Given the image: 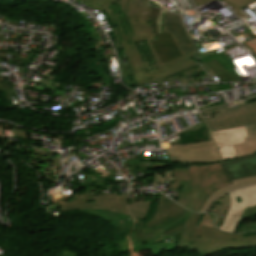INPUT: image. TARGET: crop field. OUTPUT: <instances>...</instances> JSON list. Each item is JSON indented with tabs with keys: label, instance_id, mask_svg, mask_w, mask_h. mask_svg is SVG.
<instances>
[{
	"label": "crop field",
	"instance_id": "3",
	"mask_svg": "<svg viewBox=\"0 0 256 256\" xmlns=\"http://www.w3.org/2000/svg\"><path fill=\"white\" fill-rule=\"evenodd\" d=\"M189 214L190 211L177 206L162 194L153 218L145 224L136 221L133 231L138 245L141 246L142 241L151 244L165 239L163 236L184 226L164 235L162 232L184 223Z\"/></svg>",
	"mask_w": 256,
	"mask_h": 256
},
{
	"label": "crop field",
	"instance_id": "1",
	"mask_svg": "<svg viewBox=\"0 0 256 256\" xmlns=\"http://www.w3.org/2000/svg\"><path fill=\"white\" fill-rule=\"evenodd\" d=\"M122 15L106 10L113 21L117 48L128 57L136 84L175 76L197 64L193 53L182 56L170 33L158 34L156 18L160 10L147 0H117Z\"/></svg>",
	"mask_w": 256,
	"mask_h": 256
},
{
	"label": "crop field",
	"instance_id": "2",
	"mask_svg": "<svg viewBox=\"0 0 256 256\" xmlns=\"http://www.w3.org/2000/svg\"><path fill=\"white\" fill-rule=\"evenodd\" d=\"M201 214L192 213L184 233L180 234L181 251L196 249L198 256H208L225 249L255 248L256 236L222 233L209 227H197ZM210 237V238H209Z\"/></svg>",
	"mask_w": 256,
	"mask_h": 256
},
{
	"label": "crop field",
	"instance_id": "19",
	"mask_svg": "<svg viewBox=\"0 0 256 256\" xmlns=\"http://www.w3.org/2000/svg\"><path fill=\"white\" fill-rule=\"evenodd\" d=\"M162 13H166L165 11H160V14L158 16V19H157V26H158V31L160 33V24H161V18H162Z\"/></svg>",
	"mask_w": 256,
	"mask_h": 256
},
{
	"label": "crop field",
	"instance_id": "7",
	"mask_svg": "<svg viewBox=\"0 0 256 256\" xmlns=\"http://www.w3.org/2000/svg\"><path fill=\"white\" fill-rule=\"evenodd\" d=\"M231 205L220 230L232 233L238 225L244 209L256 205V185L245 187L228 193Z\"/></svg>",
	"mask_w": 256,
	"mask_h": 256
},
{
	"label": "crop field",
	"instance_id": "25",
	"mask_svg": "<svg viewBox=\"0 0 256 256\" xmlns=\"http://www.w3.org/2000/svg\"><path fill=\"white\" fill-rule=\"evenodd\" d=\"M182 230V229H181ZM180 231V230H179ZM179 231H177V232H179Z\"/></svg>",
	"mask_w": 256,
	"mask_h": 256
},
{
	"label": "crop field",
	"instance_id": "22",
	"mask_svg": "<svg viewBox=\"0 0 256 256\" xmlns=\"http://www.w3.org/2000/svg\"><path fill=\"white\" fill-rule=\"evenodd\" d=\"M182 225H184V224H182ZM182 225H180V226H182ZM180 226H177V227H175V228H173V229H176V228H178V227H180ZM173 229H171V230H173ZM170 231V230H169ZM166 232H168V231H166ZM166 232H164V233H166Z\"/></svg>",
	"mask_w": 256,
	"mask_h": 256
},
{
	"label": "crop field",
	"instance_id": "12",
	"mask_svg": "<svg viewBox=\"0 0 256 256\" xmlns=\"http://www.w3.org/2000/svg\"><path fill=\"white\" fill-rule=\"evenodd\" d=\"M227 181L256 175V154L233 161L220 163Z\"/></svg>",
	"mask_w": 256,
	"mask_h": 256
},
{
	"label": "crop field",
	"instance_id": "24",
	"mask_svg": "<svg viewBox=\"0 0 256 256\" xmlns=\"http://www.w3.org/2000/svg\"><path fill=\"white\" fill-rule=\"evenodd\" d=\"M256 53V49L253 50Z\"/></svg>",
	"mask_w": 256,
	"mask_h": 256
},
{
	"label": "crop field",
	"instance_id": "9",
	"mask_svg": "<svg viewBox=\"0 0 256 256\" xmlns=\"http://www.w3.org/2000/svg\"><path fill=\"white\" fill-rule=\"evenodd\" d=\"M163 180L170 181L169 188H176L178 184H184V189L179 198V202L182 206L189 210H192L198 198L203 195L202 192H195L193 197H189L190 183L188 178V172L185 168H173V170L165 171V176H158L155 173L153 188L156 189L157 183Z\"/></svg>",
	"mask_w": 256,
	"mask_h": 256
},
{
	"label": "crop field",
	"instance_id": "16",
	"mask_svg": "<svg viewBox=\"0 0 256 256\" xmlns=\"http://www.w3.org/2000/svg\"><path fill=\"white\" fill-rule=\"evenodd\" d=\"M151 201L141 200L136 203L129 204V210L135 219H143L150 206Z\"/></svg>",
	"mask_w": 256,
	"mask_h": 256
},
{
	"label": "crop field",
	"instance_id": "14",
	"mask_svg": "<svg viewBox=\"0 0 256 256\" xmlns=\"http://www.w3.org/2000/svg\"><path fill=\"white\" fill-rule=\"evenodd\" d=\"M175 235H177V234H175ZM175 235L173 236V238H170L171 242H165V240H164L160 243L148 245V246H145V247H142V248H139V249H138V246L136 244L134 234L132 233L130 236H132L136 252L144 250V249L147 248V249H151L153 255H160V254H162L163 250H169V249H174L175 248Z\"/></svg>",
	"mask_w": 256,
	"mask_h": 256
},
{
	"label": "crop field",
	"instance_id": "18",
	"mask_svg": "<svg viewBox=\"0 0 256 256\" xmlns=\"http://www.w3.org/2000/svg\"><path fill=\"white\" fill-rule=\"evenodd\" d=\"M81 1H83V2L91 5L92 7L102 11V10L106 9L115 0H81Z\"/></svg>",
	"mask_w": 256,
	"mask_h": 256
},
{
	"label": "crop field",
	"instance_id": "15",
	"mask_svg": "<svg viewBox=\"0 0 256 256\" xmlns=\"http://www.w3.org/2000/svg\"><path fill=\"white\" fill-rule=\"evenodd\" d=\"M247 143L234 146L238 156L235 159L243 158L256 153V138L247 139Z\"/></svg>",
	"mask_w": 256,
	"mask_h": 256
},
{
	"label": "crop field",
	"instance_id": "11",
	"mask_svg": "<svg viewBox=\"0 0 256 256\" xmlns=\"http://www.w3.org/2000/svg\"><path fill=\"white\" fill-rule=\"evenodd\" d=\"M166 31H170L171 36L182 55L196 50L185 31L180 15L167 12L164 32Z\"/></svg>",
	"mask_w": 256,
	"mask_h": 256
},
{
	"label": "crop field",
	"instance_id": "20",
	"mask_svg": "<svg viewBox=\"0 0 256 256\" xmlns=\"http://www.w3.org/2000/svg\"><path fill=\"white\" fill-rule=\"evenodd\" d=\"M247 35H248L250 38L256 37V36L253 35L251 32L247 33Z\"/></svg>",
	"mask_w": 256,
	"mask_h": 256
},
{
	"label": "crop field",
	"instance_id": "8",
	"mask_svg": "<svg viewBox=\"0 0 256 256\" xmlns=\"http://www.w3.org/2000/svg\"><path fill=\"white\" fill-rule=\"evenodd\" d=\"M126 198L127 195L125 194L96 195L67 204H62L61 206L63 213L82 208H104L111 211L129 214L126 207Z\"/></svg>",
	"mask_w": 256,
	"mask_h": 256
},
{
	"label": "crop field",
	"instance_id": "23",
	"mask_svg": "<svg viewBox=\"0 0 256 256\" xmlns=\"http://www.w3.org/2000/svg\"><path fill=\"white\" fill-rule=\"evenodd\" d=\"M183 232V230L182 231H180L179 233H182ZM179 233H177V234H179Z\"/></svg>",
	"mask_w": 256,
	"mask_h": 256
},
{
	"label": "crop field",
	"instance_id": "13",
	"mask_svg": "<svg viewBox=\"0 0 256 256\" xmlns=\"http://www.w3.org/2000/svg\"><path fill=\"white\" fill-rule=\"evenodd\" d=\"M233 183H234V184H232V185L223 187V188H221V189L215 191V192L208 198V200L205 202V204H204V206H203L201 212H205L206 208L208 207V205L210 204V202H211L214 198H216V197H218V196H220V195H222V194H224V193H226V192H228V191H231V190H233V189L240 188V187H243V186H247V185L256 183V176L250 177V178H246V179H241V180H235V181H233ZM207 209H208V208H207Z\"/></svg>",
	"mask_w": 256,
	"mask_h": 256
},
{
	"label": "crop field",
	"instance_id": "21",
	"mask_svg": "<svg viewBox=\"0 0 256 256\" xmlns=\"http://www.w3.org/2000/svg\"><path fill=\"white\" fill-rule=\"evenodd\" d=\"M175 233H176V232H173V233H171L170 235L165 236V237H166V238H170V237H172Z\"/></svg>",
	"mask_w": 256,
	"mask_h": 256
},
{
	"label": "crop field",
	"instance_id": "10",
	"mask_svg": "<svg viewBox=\"0 0 256 256\" xmlns=\"http://www.w3.org/2000/svg\"><path fill=\"white\" fill-rule=\"evenodd\" d=\"M224 161L234 159L237 155L233 145L245 143L248 137L245 127H239L223 131L210 132Z\"/></svg>",
	"mask_w": 256,
	"mask_h": 256
},
{
	"label": "crop field",
	"instance_id": "4",
	"mask_svg": "<svg viewBox=\"0 0 256 256\" xmlns=\"http://www.w3.org/2000/svg\"><path fill=\"white\" fill-rule=\"evenodd\" d=\"M191 194L194 191H202L204 196L200 197L193 211H200L207 198L217 189L232 184L227 183L224 174L218 163L206 165H189L188 166Z\"/></svg>",
	"mask_w": 256,
	"mask_h": 256
},
{
	"label": "crop field",
	"instance_id": "5",
	"mask_svg": "<svg viewBox=\"0 0 256 256\" xmlns=\"http://www.w3.org/2000/svg\"><path fill=\"white\" fill-rule=\"evenodd\" d=\"M214 118L204 120L210 131L229 129L254 124L256 126V101L244 106L214 114Z\"/></svg>",
	"mask_w": 256,
	"mask_h": 256
},
{
	"label": "crop field",
	"instance_id": "6",
	"mask_svg": "<svg viewBox=\"0 0 256 256\" xmlns=\"http://www.w3.org/2000/svg\"><path fill=\"white\" fill-rule=\"evenodd\" d=\"M168 149L171 156L189 164H205L223 161L213 140L178 147L174 142Z\"/></svg>",
	"mask_w": 256,
	"mask_h": 256
},
{
	"label": "crop field",
	"instance_id": "17",
	"mask_svg": "<svg viewBox=\"0 0 256 256\" xmlns=\"http://www.w3.org/2000/svg\"><path fill=\"white\" fill-rule=\"evenodd\" d=\"M199 5L206 3L210 0H195ZM225 3H227L231 8H233L236 12L234 13L237 17H246L244 14H242L239 10L240 8L256 1V0H223Z\"/></svg>",
	"mask_w": 256,
	"mask_h": 256
}]
</instances>
